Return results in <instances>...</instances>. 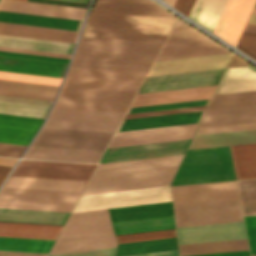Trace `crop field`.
<instances>
[{"label":"crop field","instance_id":"obj_45","mask_svg":"<svg viewBox=\"0 0 256 256\" xmlns=\"http://www.w3.org/2000/svg\"><path fill=\"white\" fill-rule=\"evenodd\" d=\"M176 236L175 229L116 236L119 243Z\"/></svg>","mask_w":256,"mask_h":256},{"label":"crop field","instance_id":"obj_32","mask_svg":"<svg viewBox=\"0 0 256 256\" xmlns=\"http://www.w3.org/2000/svg\"><path fill=\"white\" fill-rule=\"evenodd\" d=\"M69 213L0 209V221L64 225Z\"/></svg>","mask_w":256,"mask_h":256},{"label":"crop field","instance_id":"obj_10","mask_svg":"<svg viewBox=\"0 0 256 256\" xmlns=\"http://www.w3.org/2000/svg\"><path fill=\"white\" fill-rule=\"evenodd\" d=\"M146 73L70 68L63 87L136 91Z\"/></svg>","mask_w":256,"mask_h":256},{"label":"crop field","instance_id":"obj_28","mask_svg":"<svg viewBox=\"0 0 256 256\" xmlns=\"http://www.w3.org/2000/svg\"><path fill=\"white\" fill-rule=\"evenodd\" d=\"M256 143V129L195 135L189 148Z\"/></svg>","mask_w":256,"mask_h":256},{"label":"crop field","instance_id":"obj_51","mask_svg":"<svg viewBox=\"0 0 256 256\" xmlns=\"http://www.w3.org/2000/svg\"><path fill=\"white\" fill-rule=\"evenodd\" d=\"M251 254H256V216L244 217Z\"/></svg>","mask_w":256,"mask_h":256},{"label":"crop field","instance_id":"obj_43","mask_svg":"<svg viewBox=\"0 0 256 256\" xmlns=\"http://www.w3.org/2000/svg\"><path fill=\"white\" fill-rule=\"evenodd\" d=\"M256 103V91L214 95L208 108Z\"/></svg>","mask_w":256,"mask_h":256},{"label":"crop field","instance_id":"obj_53","mask_svg":"<svg viewBox=\"0 0 256 256\" xmlns=\"http://www.w3.org/2000/svg\"><path fill=\"white\" fill-rule=\"evenodd\" d=\"M0 50L23 52V53H31V54H40V55H48V56H57V57H65V58H69L70 57V55H67V54L50 53V52H42V51H33V50L8 48V47H0Z\"/></svg>","mask_w":256,"mask_h":256},{"label":"crop field","instance_id":"obj_3","mask_svg":"<svg viewBox=\"0 0 256 256\" xmlns=\"http://www.w3.org/2000/svg\"><path fill=\"white\" fill-rule=\"evenodd\" d=\"M183 156L99 164L83 195L169 185Z\"/></svg>","mask_w":256,"mask_h":256},{"label":"crop field","instance_id":"obj_59","mask_svg":"<svg viewBox=\"0 0 256 256\" xmlns=\"http://www.w3.org/2000/svg\"><path fill=\"white\" fill-rule=\"evenodd\" d=\"M16 159L0 157V166L13 167Z\"/></svg>","mask_w":256,"mask_h":256},{"label":"crop field","instance_id":"obj_8","mask_svg":"<svg viewBox=\"0 0 256 256\" xmlns=\"http://www.w3.org/2000/svg\"><path fill=\"white\" fill-rule=\"evenodd\" d=\"M234 179L227 147L188 150L171 185Z\"/></svg>","mask_w":256,"mask_h":256},{"label":"crop field","instance_id":"obj_55","mask_svg":"<svg viewBox=\"0 0 256 256\" xmlns=\"http://www.w3.org/2000/svg\"><path fill=\"white\" fill-rule=\"evenodd\" d=\"M195 0H176L173 7L189 15Z\"/></svg>","mask_w":256,"mask_h":256},{"label":"crop field","instance_id":"obj_46","mask_svg":"<svg viewBox=\"0 0 256 256\" xmlns=\"http://www.w3.org/2000/svg\"><path fill=\"white\" fill-rule=\"evenodd\" d=\"M207 105L126 114L124 119L205 110Z\"/></svg>","mask_w":256,"mask_h":256},{"label":"crop field","instance_id":"obj_35","mask_svg":"<svg viewBox=\"0 0 256 256\" xmlns=\"http://www.w3.org/2000/svg\"><path fill=\"white\" fill-rule=\"evenodd\" d=\"M62 226L0 222V236L56 239Z\"/></svg>","mask_w":256,"mask_h":256},{"label":"crop field","instance_id":"obj_7","mask_svg":"<svg viewBox=\"0 0 256 256\" xmlns=\"http://www.w3.org/2000/svg\"><path fill=\"white\" fill-rule=\"evenodd\" d=\"M256 0H196L189 15L199 24L234 44L237 42Z\"/></svg>","mask_w":256,"mask_h":256},{"label":"crop field","instance_id":"obj_52","mask_svg":"<svg viewBox=\"0 0 256 256\" xmlns=\"http://www.w3.org/2000/svg\"><path fill=\"white\" fill-rule=\"evenodd\" d=\"M26 146L0 143V155L19 157Z\"/></svg>","mask_w":256,"mask_h":256},{"label":"crop field","instance_id":"obj_16","mask_svg":"<svg viewBox=\"0 0 256 256\" xmlns=\"http://www.w3.org/2000/svg\"><path fill=\"white\" fill-rule=\"evenodd\" d=\"M174 205L238 199L234 181L171 186Z\"/></svg>","mask_w":256,"mask_h":256},{"label":"crop field","instance_id":"obj_5","mask_svg":"<svg viewBox=\"0 0 256 256\" xmlns=\"http://www.w3.org/2000/svg\"><path fill=\"white\" fill-rule=\"evenodd\" d=\"M175 20L91 12L82 37L164 42Z\"/></svg>","mask_w":256,"mask_h":256},{"label":"crop field","instance_id":"obj_63","mask_svg":"<svg viewBox=\"0 0 256 256\" xmlns=\"http://www.w3.org/2000/svg\"><path fill=\"white\" fill-rule=\"evenodd\" d=\"M248 22L256 24V14L252 13Z\"/></svg>","mask_w":256,"mask_h":256},{"label":"crop field","instance_id":"obj_2","mask_svg":"<svg viewBox=\"0 0 256 256\" xmlns=\"http://www.w3.org/2000/svg\"><path fill=\"white\" fill-rule=\"evenodd\" d=\"M87 181L10 176L0 208L71 212Z\"/></svg>","mask_w":256,"mask_h":256},{"label":"crop field","instance_id":"obj_54","mask_svg":"<svg viewBox=\"0 0 256 256\" xmlns=\"http://www.w3.org/2000/svg\"><path fill=\"white\" fill-rule=\"evenodd\" d=\"M0 54L13 55V56H22V57H30V58H39V59H47V60H56V61H64V62H68V60H69V59H65V58L48 57V56H40V55H31V54L6 52V51H0Z\"/></svg>","mask_w":256,"mask_h":256},{"label":"crop field","instance_id":"obj_50","mask_svg":"<svg viewBox=\"0 0 256 256\" xmlns=\"http://www.w3.org/2000/svg\"><path fill=\"white\" fill-rule=\"evenodd\" d=\"M115 248L116 247L70 252V253H61V254H53L48 256H114Z\"/></svg>","mask_w":256,"mask_h":256},{"label":"crop field","instance_id":"obj_13","mask_svg":"<svg viewBox=\"0 0 256 256\" xmlns=\"http://www.w3.org/2000/svg\"><path fill=\"white\" fill-rule=\"evenodd\" d=\"M124 113L53 108L44 127L115 131Z\"/></svg>","mask_w":256,"mask_h":256},{"label":"crop field","instance_id":"obj_39","mask_svg":"<svg viewBox=\"0 0 256 256\" xmlns=\"http://www.w3.org/2000/svg\"><path fill=\"white\" fill-rule=\"evenodd\" d=\"M244 249H249L246 239L179 245L180 256Z\"/></svg>","mask_w":256,"mask_h":256},{"label":"crop field","instance_id":"obj_62","mask_svg":"<svg viewBox=\"0 0 256 256\" xmlns=\"http://www.w3.org/2000/svg\"><path fill=\"white\" fill-rule=\"evenodd\" d=\"M11 170V168L8 167H0V173L8 174V172Z\"/></svg>","mask_w":256,"mask_h":256},{"label":"crop field","instance_id":"obj_37","mask_svg":"<svg viewBox=\"0 0 256 256\" xmlns=\"http://www.w3.org/2000/svg\"><path fill=\"white\" fill-rule=\"evenodd\" d=\"M75 44L0 35V46L71 54Z\"/></svg>","mask_w":256,"mask_h":256},{"label":"crop field","instance_id":"obj_56","mask_svg":"<svg viewBox=\"0 0 256 256\" xmlns=\"http://www.w3.org/2000/svg\"><path fill=\"white\" fill-rule=\"evenodd\" d=\"M195 256H250L249 250L245 251H235V252H225V253H215V254H205V255H195Z\"/></svg>","mask_w":256,"mask_h":256},{"label":"crop field","instance_id":"obj_17","mask_svg":"<svg viewBox=\"0 0 256 256\" xmlns=\"http://www.w3.org/2000/svg\"><path fill=\"white\" fill-rule=\"evenodd\" d=\"M198 123L115 132L108 147L191 138Z\"/></svg>","mask_w":256,"mask_h":256},{"label":"crop field","instance_id":"obj_40","mask_svg":"<svg viewBox=\"0 0 256 256\" xmlns=\"http://www.w3.org/2000/svg\"><path fill=\"white\" fill-rule=\"evenodd\" d=\"M177 249L176 237L119 244L116 256Z\"/></svg>","mask_w":256,"mask_h":256},{"label":"crop field","instance_id":"obj_31","mask_svg":"<svg viewBox=\"0 0 256 256\" xmlns=\"http://www.w3.org/2000/svg\"><path fill=\"white\" fill-rule=\"evenodd\" d=\"M52 102L0 96V113L45 118Z\"/></svg>","mask_w":256,"mask_h":256},{"label":"crop field","instance_id":"obj_64","mask_svg":"<svg viewBox=\"0 0 256 256\" xmlns=\"http://www.w3.org/2000/svg\"><path fill=\"white\" fill-rule=\"evenodd\" d=\"M163 1L167 2V3L170 4V5H173V3H174L175 0H163ZM174 4H175V3H174ZM173 6H174V5H173Z\"/></svg>","mask_w":256,"mask_h":256},{"label":"crop field","instance_id":"obj_41","mask_svg":"<svg viewBox=\"0 0 256 256\" xmlns=\"http://www.w3.org/2000/svg\"><path fill=\"white\" fill-rule=\"evenodd\" d=\"M54 240L0 237V250L48 253Z\"/></svg>","mask_w":256,"mask_h":256},{"label":"crop field","instance_id":"obj_9","mask_svg":"<svg viewBox=\"0 0 256 256\" xmlns=\"http://www.w3.org/2000/svg\"><path fill=\"white\" fill-rule=\"evenodd\" d=\"M135 92L63 88L54 107L126 112Z\"/></svg>","mask_w":256,"mask_h":256},{"label":"crop field","instance_id":"obj_29","mask_svg":"<svg viewBox=\"0 0 256 256\" xmlns=\"http://www.w3.org/2000/svg\"><path fill=\"white\" fill-rule=\"evenodd\" d=\"M59 86L0 80V95L53 101Z\"/></svg>","mask_w":256,"mask_h":256},{"label":"crop field","instance_id":"obj_65","mask_svg":"<svg viewBox=\"0 0 256 256\" xmlns=\"http://www.w3.org/2000/svg\"><path fill=\"white\" fill-rule=\"evenodd\" d=\"M66 1H74V2H82V3H86L87 0H66Z\"/></svg>","mask_w":256,"mask_h":256},{"label":"crop field","instance_id":"obj_25","mask_svg":"<svg viewBox=\"0 0 256 256\" xmlns=\"http://www.w3.org/2000/svg\"><path fill=\"white\" fill-rule=\"evenodd\" d=\"M64 63L0 55V70L59 76Z\"/></svg>","mask_w":256,"mask_h":256},{"label":"crop field","instance_id":"obj_69","mask_svg":"<svg viewBox=\"0 0 256 256\" xmlns=\"http://www.w3.org/2000/svg\"><path fill=\"white\" fill-rule=\"evenodd\" d=\"M256 6V5H255Z\"/></svg>","mask_w":256,"mask_h":256},{"label":"crop field","instance_id":"obj_48","mask_svg":"<svg viewBox=\"0 0 256 256\" xmlns=\"http://www.w3.org/2000/svg\"><path fill=\"white\" fill-rule=\"evenodd\" d=\"M236 47L256 60V35L243 32Z\"/></svg>","mask_w":256,"mask_h":256},{"label":"crop field","instance_id":"obj_68","mask_svg":"<svg viewBox=\"0 0 256 256\" xmlns=\"http://www.w3.org/2000/svg\"><path fill=\"white\" fill-rule=\"evenodd\" d=\"M251 256H256V255H251Z\"/></svg>","mask_w":256,"mask_h":256},{"label":"crop field","instance_id":"obj_11","mask_svg":"<svg viewBox=\"0 0 256 256\" xmlns=\"http://www.w3.org/2000/svg\"><path fill=\"white\" fill-rule=\"evenodd\" d=\"M171 201L169 186L81 196L73 212Z\"/></svg>","mask_w":256,"mask_h":256},{"label":"crop field","instance_id":"obj_36","mask_svg":"<svg viewBox=\"0 0 256 256\" xmlns=\"http://www.w3.org/2000/svg\"><path fill=\"white\" fill-rule=\"evenodd\" d=\"M229 148L236 179L256 177V144Z\"/></svg>","mask_w":256,"mask_h":256},{"label":"crop field","instance_id":"obj_24","mask_svg":"<svg viewBox=\"0 0 256 256\" xmlns=\"http://www.w3.org/2000/svg\"><path fill=\"white\" fill-rule=\"evenodd\" d=\"M256 121V104L207 109L199 127Z\"/></svg>","mask_w":256,"mask_h":256},{"label":"crop field","instance_id":"obj_18","mask_svg":"<svg viewBox=\"0 0 256 256\" xmlns=\"http://www.w3.org/2000/svg\"><path fill=\"white\" fill-rule=\"evenodd\" d=\"M190 140L107 148L100 163L184 153Z\"/></svg>","mask_w":256,"mask_h":256},{"label":"crop field","instance_id":"obj_42","mask_svg":"<svg viewBox=\"0 0 256 256\" xmlns=\"http://www.w3.org/2000/svg\"><path fill=\"white\" fill-rule=\"evenodd\" d=\"M244 216L256 215V178L236 180Z\"/></svg>","mask_w":256,"mask_h":256},{"label":"crop field","instance_id":"obj_61","mask_svg":"<svg viewBox=\"0 0 256 256\" xmlns=\"http://www.w3.org/2000/svg\"><path fill=\"white\" fill-rule=\"evenodd\" d=\"M244 31L256 34V25L248 23Z\"/></svg>","mask_w":256,"mask_h":256},{"label":"crop field","instance_id":"obj_38","mask_svg":"<svg viewBox=\"0 0 256 256\" xmlns=\"http://www.w3.org/2000/svg\"><path fill=\"white\" fill-rule=\"evenodd\" d=\"M116 235L175 228L173 216L112 223Z\"/></svg>","mask_w":256,"mask_h":256},{"label":"crop field","instance_id":"obj_60","mask_svg":"<svg viewBox=\"0 0 256 256\" xmlns=\"http://www.w3.org/2000/svg\"><path fill=\"white\" fill-rule=\"evenodd\" d=\"M191 26H189L188 24L184 23L183 21L181 20H177L173 30L175 29H182V28H190Z\"/></svg>","mask_w":256,"mask_h":256},{"label":"crop field","instance_id":"obj_34","mask_svg":"<svg viewBox=\"0 0 256 256\" xmlns=\"http://www.w3.org/2000/svg\"><path fill=\"white\" fill-rule=\"evenodd\" d=\"M112 222L173 215L171 202L109 209Z\"/></svg>","mask_w":256,"mask_h":256},{"label":"crop field","instance_id":"obj_19","mask_svg":"<svg viewBox=\"0 0 256 256\" xmlns=\"http://www.w3.org/2000/svg\"><path fill=\"white\" fill-rule=\"evenodd\" d=\"M222 71L223 69L145 77L138 93L216 84Z\"/></svg>","mask_w":256,"mask_h":256},{"label":"crop field","instance_id":"obj_1","mask_svg":"<svg viewBox=\"0 0 256 256\" xmlns=\"http://www.w3.org/2000/svg\"><path fill=\"white\" fill-rule=\"evenodd\" d=\"M176 226L243 220L238 200L174 206ZM179 244L246 238L243 221L176 227Z\"/></svg>","mask_w":256,"mask_h":256},{"label":"crop field","instance_id":"obj_33","mask_svg":"<svg viewBox=\"0 0 256 256\" xmlns=\"http://www.w3.org/2000/svg\"><path fill=\"white\" fill-rule=\"evenodd\" d=\"M77 32L1 23L0 34L73 42Z\"/></svg>","mask_w":256,"mask_h":256},{"label":"crop field","instance_id":"obj_20","mask_svg":"<svg viewBox=\"0 0 256 256\" xmlns=\"http://www.w3.org/2000/svg\"><path fill=\"white\" fill-rule=\"evenodd\" d=\"M231 53L154 62L147 76L224 68Z\"/></svg>","mask_w":256,"mask_h":256},{"label":"crop field","instance_id":"obj_23","mask_svg":"<svg viewBox=\"0 0 256 256\" xmlns=\"http://www.w3.org/2000/svg\"><path fill=\"white\" fill-rule=\"evenodd\" d=\"M103 150L30 146L23 158L97 163Z\"/></svg>","mask_w":256,"mask_h":256},{"label":"crop field","instance_id":"obj_22","mask_svg":"<svg viewBox=\"0 0 256 256\" xmlns=\"http://www.w3.org/2000/svg\"><path fill=\"white\" fill-rule=\"evenodd\" d=\"M216 85L136 94L130 107L210 98Z\"/></svg>","mask_w":256,"mask_h":256},{"label":"crop field","instance_id":"obj_58","mask_svg":"<svg viewBox=\"0 0 256 256\" xmlns=\"http://www.w3.org/2000/svg\"><path fill=\"white\" fill-rule=\"evenodd\" d=\"M129 256H178V252L177 250H173V251L155 252V253L129 255Z\"/></svg>","mask_w":256,"mask_h":256},{"label":"crop field","instance_id":"obj_14","mask_svg":"<svg viewBox=\"0 0 256 256\" xmlns=\"http://www.w3.org/2000/svg\"><path fill=\"white\" fill-rule=\"evenodd\" d=\"M113 132L42 128L32 145L105 149Z\"/></svg>","mask_w":256,"mask_h":256},{"label":"crop field","instance_id":"obj_47","mask_svg":"<svg viewBox=\"0 0 256 256\" xmlns=\"http://www.w3.org/2000/svg\"><path fill=\"white\" fill-rule=\"evenodd\" d=\"M209 99L129 108L127 113L207 104Z\"/></svg>","mask_w":256,"mask_h":256},{"label":"crop field","instance_id":"obj_27","mask_svg":"<svg viewBox=\"0 0 256 256\" xmlns=\"http://www.w3.org/2000/svg\"><path fill=\"white\" fill-rule=\"evenodd\" d=\"M256 90V68L253 66L227 68L215 93Z\"/></svg>","mask_w":256,"mask_h":256},{"label":"crop field","instance_id":"obj_21","mask_svg":"<svg viewBox=\"0 0 256 256\" xmlns=\"http://www.w3.org/2000/svg\"><path fill=\"white\" fill-rule=\"evenodd\" d=\"M43 119L0 114V142L28 145Z\"/></svg>","mask_w":256,"mask_h":256},{"label":"crop field","instance_id":"obj_15","mask_svg":"<svg viewBox=\"0 0 256 256\" xmlns=\"http://www.w3.org/2000/svg\"><path fill=\"white\" fill-rule=\"evenodd\" d=\"M95 165L20 160L12 175L88 180Z\"/></svg>","mask_w":256,"mask_h":256},{"label":"crop field","instance_id":"obj_57","mask_svg":"<svg viewBox=\"0 0 256 256\" xmlns=\"http://www.w3.org/2000/svg\"><path fill=\"white\" fill-rule=\"evenodd\" d=\"M0 256H46V254L0 251Z\"/></svg>","mask_w":256,"mask_h":256},{"label":"crop field","instance_id":"obj_49","mask_svg":"<svg viewBox=\"0 0 256 256\" xmlns=\"http://www.w3.org/2000/svg\"><path fill=\"white\" fill-rule=\"evenodd\" d=\"M254 128H256V122L198 128L196 134L232 131V130H243V129H254Z\"/></svg>","mask_w":256,"mask_h":256},{"label":"crop field","instance_id":"obj_30","mask_svg":"<svg viewBox=\"0 0 256 256\" xmlns=\"http://www.w3.org/2000/svg\"><path fill=\"white\" fill-rule=\"evenodd\" d=\"M204 111L123 120L117 131L199 122Z\"/></svg>","mask_w":256,"mask_h":256},{"label":"crop field","instance_id":"obj_12","mask_svg":"<svg viewBox=\"0 0 256 256\" xmlns=\"http://www.w3.org/2000/svg\"><path fill=\"white\" fill-rule=\"evenodd\" d=\"M228 52L198 30L191 29L170 32L156 61Z\"/></svg>","mask_w":256,"mask_h":256},{"label":"crop field","instance_id":"obj_6","mask_svg":"<svg viewBox=\"0 0 256 256\" xmlns=\"http://www.w3.org/2000/svg\"><path fill=\"white\" fill-rule=\"evenodd\" d=\"M107 209L71 213L50 254L116 246Z\"/></svg>","mask_w":256,"mask_h":256},{"label":"crop field","instance_id":"obj_67","mask_svg":"<svg viewBox=\"0 0 256 256\" xmlns=\"http://www.w3.org/2000/svg\"><path fill=\"white\" fill-rule=\"evenodd\" d=\"M253 12L256 13V7L254 8Z\"/></svg>","mask_w":256,"mask_h":256},{"label":"crop field","instance_id":"obj_26","mask_svg":"<svg viewBox=\"0 0 256 256\" xmlns=\"http://www.w3.org/2000/svg\"><path fill=\"white\" fill-rule=\"evenodd\" d=\"M0 21L77 31L81 20L0 11Z\"/></svg>","mask_w":256,"mask_h":256},{"label":"crop field","instance_id":"obj_44","mask_svg":"<svg viewBox=\"0 0 256 256\" xmlns=\"http://www.w3.org/2000/svg\"><path fill=\"white\" fill-rule=\"evenodd\" d=\"M0 78L59 85L62 78L0 71Z\"/></svg>","mask_w":256,"mask_h":256},{"label":"crop field","instance_id":"obj_66","mask_svg":"<svg viewBox=\"0 0 256 256\" xmlns=\"http://www.w3.org/2000/svg\"><path fill=\"white\" fill-rule=\"evenodd\" d=\"M5 177H6V175L0 174V184L4 180Z\"/></svg>","mask_w":256,"mask_h":256},{"label":"crop field","instance_id":"obj_4","mask_svg":"<svg viewBox=\"0 0 256 256\" xmlns=\"http://www.w3.org/2000/svg\"><path fill=\"white\" fill-rule=\"evenodd\" d=\"M161 45L82 38L70 67L147 72Z\"/></svg>","mask_w":256,"mask_h":256}]
</instances>
